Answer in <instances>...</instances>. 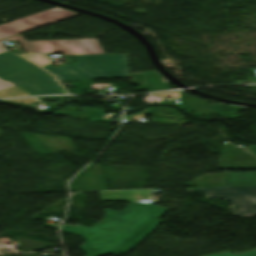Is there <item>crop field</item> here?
Here are the masks:
<instances>
[{"mask_svg":"<svg viewBox=\"0 0 256 256\" xmlns=\"http://www.w3.org/2000/svg\"><path fill=\"white\" fill-rule=\"evenodd\" d=\"M105 211L106 219L92 228L64 224L61 229L83 237L85 242L78 249L84 251L85 256L119 255L129 251L164 222L158 218L168 210L155 205L130 203L122 212Z\"/></svg>","mask_w":256,"mask_h":256,"instance_id":"crop-field-1","label":"crop field"},{"mask_svg":"<svg viewBox=\"0 0 256 256\" xmlns=\"http://www.w3.org/2000/svg\"><path fill=\"white\" fill-rule=\"evenodd\" d=\"M77 63L43 67L59 81L130 77L127 54L73 56Z\"/></svg>","mask_w":256,"mask_h":256,"instance_id":"crop-field-2","label":"crop field"},{"mask_svg":"<svg viewBox=\"0 0 256 256\" xmlns=\"http://www.w3.org/2000/svg\"><path fill=\"white\" fill-rule=\"evenodd\" d=\"M0 78L32 95L66 93L49 73L10 52L0 54Z\"/></svg>","mask_w":256,"mask_h":256,"instance_id":"crop-field-3","label":"crop field"},{"mask_svg":"<svg viewBox=\"0 0 256 256\" xmlns=\"http://www.w3.org/2000/svg\"><path fill=\"white\" fill-rule=\"evenodd\" d=\"M98 43L96 39L20 42L24 52L62 53L63 55L104 54V50L102 51Z\"/></svg>","mask_w":256,"mask_h":256,"instance_id":"crop-field-4","label":"crop field"},{"mask_svg":"<svg viewBox=\"0 0 256 256\" xmlns=\"http://www.w3.org/2000/svg\"><path fill=\"white\" fill-rule=\"evenodd\" d=\"M190 193L205 192L206 198L230 197L234 215L245 217L256 214V206L248 202L246 196L254 195L256 198V186L241 187H209L188 190Z\"/></svg>","mask_w":256,"mask_h":256,"instance_id":"crop-field-5","label":"crop field"},{"mask_svg":"<svg viewBox=\"0 0 256 256\" xmlns=\"http://www.w3.org/2000/svg\"><path fill=\"white\" fill-rule=\"evenodd\" d=\"M79 14L55 7L0 26V39Z\"/></svg>","mask_w":256,"mask_h":256,"instance_id":"crop-field-6","label":"crop field"},{"mask_svg":"<svg viewBox=\"0 0 256 256\" xmlns=\"http://www.w3.org/2000/svg\"><path fill=\"white\" fill-rule=\"evenodd\" d=\"M54 114L70 115V118L110 123V120H107L110 114L103 115L102 111L89 107L79 109L67 105L64 108L55 111Z\"/></svg>","mask_w":256,"mask_h":256,"instance_id":"crop-field-7","label":"crop field"},{"mask_svg":"<svg viewBox=\"0 0 256 256\" xmlns=\"http://www.w3.org/2000/svg\"><path fill=\"white\" fill-rule=\"evenodd\" d=\"M150 114L155 117H175V118H184L179 112L174 109L167 107H154L148 108Z\"/></svg>","mask_w":256,"mask_h":256,"instance_id":"crop-field-8","label":"crop field"},{"mask_svg":"<svg viewBox=\"0 0 256 256\" xmlns=\"http://www.w3.org/2000/svg\"><path fill=\"white\" fill-rule=\"evenodd\" d=\"M21 56H23L24 58L30 60L31 62L39 66L50 62L44 54L28 53V54H22Z\"/></svg>","mask_w":256,"mask_h":256,"instance_id":"crop-field-9","label":"crop field"},{"mask_svg":"<svg viewBox=\"0 0 256 256\" xmlns=\"http://www.w3.org/2000/svg\"><path fill=\"white\" fill-rule=\"evenodd\" d=\"M11 40H17V41H22L23 39L21 38V36H12L8 39L2 40L0 41V53L6 52V48L3 46V44L1 42L3 41H11ZM15 86L13 83L8 82V81H4L2 79H0V90L5 89V88H9Z\"/></svg>","mask_w":256,"mask_h":256,"instance_id":"crop-field-10","label":"crop field"},{"mask_svg":"<svg viewBox=\"0 0 256 256\" xmlns=\"http://www.w3.org/2000/svg\"><path fill=\"white\" fill-rule=\"evenodd\" d=\"M212 256H256V250L248 251V252H242L237 254H232L231 252H223Z\"/></svg>","mask_w":256,"mask_h":256,"instance_id":"crop-field-11","label":"crop field"},{"mask_svg":"<svg viewBox=\"0 0 256 256\" xmlns=\"http://www.w3.org/2000/svg\"><path fill=\"white\" fill-rule=\"evenodd\" d=\"M246 199H247L248 201L253 202L254 205H256V200H255V198H254L253 196L247 197Z\"/></svg>","mask_w":256,"mask_h":256,"instance_id":"crop-field-12","label":"crop field"}]
</instances>
